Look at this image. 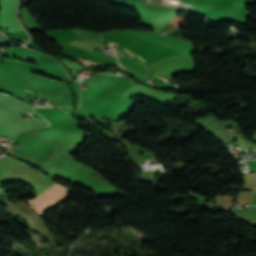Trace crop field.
Wrapping results in <instances>:
<instances>
[{
    "label": "crop field",
    "instance_id": "obj_2",
    "mask_svg": "<svg viewBox=\"0 0 256 256\" xmlns=\"http://www.w3.org/2000/svg\"><path fill=\"white\" fill-rule=\"evenodd\" d=\"M112 3L127 6V7H135V8H146V9H157V10H168V11H179V12H187V11H181V10H188V11H194V9L190 8H183V7H175V6H168V5H162L152 2H141V1H134V0H122V1H130V2H137V3H143V4H149V5H156V6H162V7H169V8H175V9H181V10H174V9H168V8H161V7H154V6H147V5H141V4H134V3H127V2H121V1H114L111 0ZM187 13H193V12H187ZM197 14V13H193ZM199 15V14H198Z\"/></svg>",
    "mask_w": 256,
    "mask_h": 256
},
{
    "label": "crop field",
    "instance_id": "obj_1",
    "mask_svg": "<svg viewBox=\"0 0 256 256\" xmlns=\"http://www.w3.org/2000/svg\"><path fill=\"white\" fill-rule=\"evenodd\" d=\"M67 192L68 190L56 184L49 188L47 191L39 194L35 199L29 200L28 203L39 215H41L45 210L60 202L65 201L68 197L66 195Z\"/></svg>",
    "mask_w": 256,
    "mask_h": 256
},
{
    "label": "crop field",
    "instance_id": "obj_4",
    "mask_svg": "<svg viewBox=\"0 0 256 256\" xmlns=\"http://www.w3.org/2000/svg\"><path fill=\"white\" fill-rule=\"evenodd\" d=\"M26 91H28V90H26ZM29 92H31V93H32V91H29Z\"/></svg>",
    "mask_w": 256,
    "mask_h": 256
},
{
    "label": "crop field",
    "instance_id": "obj_3",
    "mask_svg": "<svg viewBox=\"0 0 256 256\" xmlns=\"http://www.w3.org/2000/svg\"><path fill=\"white\" fill-rule=\"evenodd\" d=\"M126 53H128V54H130V55L134 56L133 54H131V53L127 52V51H126ZM134 57H136V56H134ZM136 58H138V57H136ZM138 59H140V58H138Z\"/></svg>",
    "mask_w": 256,
    "mask_h": 256
}]
</instances>
